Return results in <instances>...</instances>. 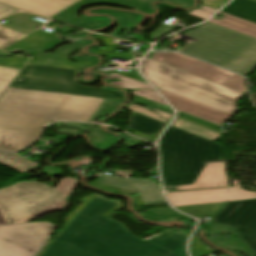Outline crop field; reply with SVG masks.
I'll return each mask as SVG.
<instances>
[{
	"label": "crop field",
	"mask_w": 256,
	"mask_h": 256,
	"mask_svg": "<svg viewBox=\"0 0 256 256\" xmlns=\"http://www.w3.org/2000/svg\"><path fill=\"white\" fill-rule=\"evenodd\" d=\"M67 216L64 230L39 256H186L189 235L163 231L144 241L107 216L123 208L117 200L93 194Z\"/></svg>",
	"instance_id": "crop-field-1"
},
{
	"label": "crop field",
	"mask_w": 256,
	"mask_h": 256,
	"mask_svg": "<svg viewBox=\"0 0 256 256\" xmlns=\"http://www.w3.org/2000/svg\"><path fill=\"white\" fill-rule=\"evenodd\" d=\"M103 99L8 88L0 97V150L31 144L43 125L60 120L87 121Z\"/></svg>",
	"instance_id": "crop-field-2"
},
{
	"label": "crop field",
	"mask_w": 256,
	"mask_h": 256,
	"mask_svg": "<svg viewBox=\"0 0 256 256\" xmlns=\"http://www.w3.org/2000/svg\"><path fill=\"white\" fill-rule=\"evenodd\" d=\"M160 149L164 186L192 184L206 162L225 161L224 146L172 126L162 135Z\"/></svg>",
	"instance_id": "crop-field-3"
},
{
	"label": "crop field",
	"mask_w": 256,
	"mask_h": 256,
	"mask_svg": "<svg viewBox=\"0 0 256 256\" xmlns=\"http://www.w3.org/2000/svg\"><path fill=\"white\" fill-rule=\"evenodd\" d=\"M184 35L197 39L180 52L243 75L256 67V39L207 22Z\"/></svg>",
	"instance_id": "crop-field-4"
},
{
	"label": "crop field",
	"mask_w": 256,
	"mask_h": 256,
	"mask_svg": "<svg viewBox=\"0 0 256 256\" xmlns=\"http://www.w3.org/2000/svg\"><path fill=\"white\" fill-rule=\"evenodd\" d=\"M141 71L157 88L206 104L230 114L243 93L220 86L151 59H143Z\"/></svg>",
	"instance_id": "crop-field-5"
},
{
	"label": "crop field",
	"mask_w": 256,
	"mask_h": 256,
	"mask_svg": "<svg viewBox=\"0 0 256 256\" xmlns=\"http://www.w3.org/2000/svg\"><path fill=\"white\" fill-rule=\"evenodd\" d=\"M75 184L72 177L60 180L54 189L35 182H20L0 190V208L8 224L27 222L62 210L67 206L64 199Z\"/></svg>",
	"instance_id": "crop-field-6"
},
{
	"label": "crop field",
	"mask_w": 256,
	"mask_h": 256,
	"mask_svg": "<svg viewBox=\"0 0 256 256\" xmlns=\"http://www.w3.org/2000/svg\"><path fill=\"white\" fill-rule=\"evenodd\" d=\"M77 72L27 63L18 75L21 82L13 81L9 87L122 100L117 91L79 86L74 80Z\"/></svg>",
	"instance_id": "crop-field-7"
},
{
	"label": "crop field",
	"mask_w": 256,
	"mask_h": 256,
	"mask_svg": "<svg viewBox=\"0 0 256 256\" xmlns=\"http://www.w3.org/2000/svg\"><path fill=\"white\" fill-rule=\"evenodd\" d=\"M54 227L45 222L0 226V256H35Z\"/></svg>",
	"instance_id": "crop-field-8"
},
{
	"label": "crop field",
	"mask_w": 256,
	"mask_h": 256,
	"mask_svg": "<svg viewBox=\"0 0 256 256\" xmlns=\"http://www.w3.org/2000/svg\"><path fill=\"white\" fill-rule=\"evenodd\" d=\"M157 61L194 74L209 81L246 93L244 77L182 55L172 52H157Z\"/></svg>",
	"instance_id": "crop-field-9"
},
{
	"label": "crop field",
	"mask_w": 256,
	"mask_h": 256,
	"mask_svg": "<svg viewBox=\"0 0 256 256\" xmlns=\"http://www.w3.org/2000/svg\"><path fill=\"white\" fill-rule=\"evenodd\" d=\"M210 221L234 228L256 256V200L228 202Z\"/></svg>",
	"instance_id": "crop-field-10"
},
{
	"label": "crop field",
	"mask_w": 256,
	"mask_h": 256,
	"mask_svg": "<svg viewBox=\"0 0 256 256\" xmlns=\"http://www.w3.org/2000/svg\"><path fill=\"white\" fill-rule=\"evenodd\" d=\"M94 3H104V4H113L120 5L124 7L133 8L137 11L152 13L153 9L149 8L150 2L142 0H79L71 6L67 7L59 14L54 16L52 19L62 21L74 26H78L84 29L92 30L100 27L107 26L110 22L109 18L105 17H95V18H86L79 19L76 12L78 9L87 4Z\"/></svg>",
	"instance_id": "crop-field-11"
},
{
	"label": "crop field",
	"mask_w": 256,
	"mask_h": 256,
	"mask_svg": "<svg viewBox=\"0 0 256 256\" xmlns=\"http://www.w3.org/2000/svg\"><path fill=\"white\" fill-rule=\"evenodd\" d=\"M166 195L173 206L256 199V192L240 187L174 192Z\"/></svg>",
	"instance_id": "crop-field-12"
},
{
	"label": "crop field",
	"mask_w": 256,
	"mask_h": 256,
	"mask_svg": "<svg viewBox=\"0 0 256 256\" xmlns=\"http://www.w3.org/2000/svg\"><path fill=\"white\" fill-rule=\"evenodd\" d=\"M60 39L52 33L38 30L30 35H23L0 27V48L4 50L23 49L25 52L46 49L57 43Z\"/></svg>",
	"instance_id": "crop-field-13"
},
{
	"label": "crop field",
	"mask_w": 256,
	"mask_h": 256,
	"mask_svg": "<svg viewBox=\"0 0 256 256\" xmlns=\"http://www.w3.org/2000/svg\"><path fill=\"white\" fill-rule=\"evenodd\" d=\"M158 90L164 95L167 101L170 104H172L177 110L188 112L190 114L199 116L201 118L213 121L218 124L233 116L225 112L216 110L214 108L208 107L206 105L168 93L166 91L160 89Z\"/></svg>",
	"instance_id": "crop-field-14"
},
{
	"label": "crop field",
	"mask_w": 256,
	"mask_h": 256,
	"mask_svg": "<svg viewBox=\"0 0 256 256\" xmlns=\"http://www.w3.org/2000/svg\"><path fill=\"white\" fill-rule=\"evenodd\" d=\"M92 185L108 191L114 190L113 192L118 193H126L160 186V184L152 179H124L105 175H101L92 183Z\"/></svg>",
	"instance_id": "crop-field-15"
},
{
	"label": "crop field",
	"mask_w": 256,
	"mask_h": 256,
	"mask_svg": "<svg viewBox=\"0 0 256 256\" xmlns=\"http://www.w3.org/2000/svg\"><path fill=\"white\" fill-rule=\"evenodd\" d=\"M75 0H0L15 8L48 17Z\"/></svg>",
	"instance_id": "crop-field-16"
},
{
	"label": "crop field",
	"mask_w": 256,
	"mask_h": 256,
	"mask_svg": "<svg viewBox=\"0 0 256 256\" xmlns=\"http://www.w3.org/2000/svg\"><path fill=\"white\" fill-rule=\"evenodd\" d=\"M228 186L225 163H208L192 185L176 186L177 190Z\"/></svg>",
	"instance_id": "crop-field-17"
},
{
	"label": "crop field",
	"mask_w": 256,
	"mask_h": 256,
	"mask_svg": "<svg viewBox=\"0 0 256 256\" xmlns=\"http://www.w3.org/2000/svg\"><path fill=\"white\" fill-rule=\"evenodd\" d=\"M164 126L163 123L133 111L127 129L149 142H154L156 135Z\"/></svg>",
	"instance_id": "crop-field-18"
},
{
	"label": "crop field",
	"mask_w": 256,
	"mask_h": 256,
	"mask_svg": "<svg viewBox=\"0 0 256 256\" xmlns=\"http://www.w3.org/2000/svg\"><path fill=\"white\" fill-rule=\"evenodd\" d=\"M33 58L29 61L31 63L50 65L56 67L70 68L80 70L82 67L90 66L97 63L95 56L87 58H71L79 63H71L65 57L52 56L45 53H31Z\"/></svg>",
	"instance_id": "crop-field-19"
},
{
	"label": "crop field",
	"mask_w": 256,
	"mask_h": 256,
	"mask_svg": "<svg viewBox=\"0 0 256 256\" xmlns=\"http://www.w3.org/2000/svg\"><path fill=\"white\" fill-rule=\"evenodd\" d=\"M222 12L256 23V2L250 0H233Z\"/></svg>",
	"instance_id": "crop-field-20"
},
{
	"label": "crop field",
	"mask_w": 256,
	"mask_h": 256,
	"mask_svg": "<svg viewBox=\"0 0 256 256\" xmlns=\"http://www.w3.org/2000/svg\"><path fill=\"white\" fill-rule=\"evenodd\" d=\"M31 17L32 15L27 13H17L6 18L5 20H7V23L5 22L6 24H3L2 26L22 33H29L42 24V22L30 19Z\"/></svg>",
	"instance_id": "crop-field-21"
},
{
	"label": "crop field",
	"mask_w": 256,
	"mask_h": 256,
	"mask_svg": "<svg viewBox=\"0 0 256 256\" xmlns=\"http://www.w3.org/2000/svg\"><path fill=\"white\" fill-rule=\"evenodd\" d=\"M114 77L119 78V79H123L125 81L124 82H122V81L109 82L108 84L118 86V87H123V88H146V89H149V91L141 90V91H137V92H133V93L168 106L155 92H150V90H152V89L150 88L149 85H146V84H143L141 82L131 80V79H128V78H124V77H122L120 75H117V74L109 75L108 79H112Z\"/></svg>",
	"instance_id": "crop-field-22"
},
{
	"label": "crop field",
	"mask_w": 256,
	"mask_h": 256,
	"mask_svg": "<svg viewBox=\"0 0 256 256\" xmlns=\"http://www.w3.org/2000/svg\"><path fill=\"white\" fill-rule=\"evenodd\" d=\"M222 14L226 15L223 20L218 21V20L211 19L210 22L216 23L218 25L233 29L235 31H238L256 38L255 24L227 15L225 13H222Z\"/></svg>",
	"instance_id": "crop-field-23"
},
{
	"label": "crop field",
	"mask_w": 256,
	"mask_h": 256,
	"mask_svg": "<svg viewBox=\"0 0 256 256\" xmlns=\"http://www.w3.org/2000/svg\"><path fill=\"white\" fill-rule=\"evenodd\" d=\"M172 126L180 128L182 130L188 131L190 133H193L195 135L201 136L203 138L209 139L213 141L216 139L221 133L217 131L210 130L208 128H205L201 125L195 124L193 122L184 120L182 118L177 117L175 122L172 124Z\"/></svg>",
	"instance_id": "crop-field-24"
},
{
	"label": "crop field",
	"mask_w": 256,
	"mask_h": 256,
	"mask_svg": "<svg viewBox=\"0 0 256 256\" xmlns=\"http://www.w3.org/2000/svg\"><path fill=\"white\" fill-rule=\"evenodd\" d=\"M91 13H107L112 16H114L117 19L118 26L110 32V34L119 36L123 30L133 21L135 20L139 15L137 14H131V13H123V12H116L111 10H97L92 11Z\"/></svg>",
	"instance_id": "crop-field-25"
},
{
	"label": "crop field",
	"mask_w": 256,
	"mask_h": 256,
	"mask_svg": "<svg viewBox=\"0 0 256 256\" xmlns=\"http://www.w3.org/2000/svg\"><path fill=\"white\" fill-rule=\"evenodd\" d=\"M131 193H140L138 195H135V198H136L135 205H152V204H160L165 202V200L163 199L160 193V187L131 192Z\"/></svg>",
	"instance_id": "crop-field-26"
},
{
	"label": "crop field",
	"mask_w": 256,
	"mask_h": 256,
	"mask_svg": "<svg viewBox=\"0 0 256 256\" xmlns=\"http://www.w3.org/2000/svg\"><path fill=\"white\" fill-rule=\"evenodd\" d=\"M82 125L89 130L90 137L94 145L100 148H106L116 142L114 136H111L101 130L94 128L93 125H90V124H82Z\"/></svg>",
	"instance_id": "crop-field-27"
},
{
	"label": "crop field",
	"mask_w": 256,
	"mask_h": 256,
	"mask_svg": "<svg viewBox=\"0 0 256 256\" xmlns=\"http://www.w3.org/2000/svg\"><path fill=\"white\" fill-rule=\"evenodd\" d=\"M0 163L22 173L29 170V166L27 165L25 160L15 154L0 153Z\"/></svg>",
	"instance_id": "crop-field-28"
},
{
	"label": "crop field",
	"mask_w": 256,
	"mask_h": 256,
	"mask_svg": "<svg viewBox=\"0 0 256 256\" xmlns=\"http://www.w3.org/2000/svg\"><path fill=\"white\" fill-rule=\"evenodd\" d=\"M143 218L149 219V220H163L170 217L173 218H185V216L179 214L178 212L172 210V209H164V210H150L145 211L144 214H142Z\"/></svg>",
	"instance_id": "crop-field-29"
},
{
	"label": "crop field",
	"mask_w": 256,
	"mask_h": 256,
	"mask_svg": "<svg viewBox=\"0 0 256 256\" xmlns=\"http://www.w3.org/2000/svg\"><path fill=\"white\" fill-rule=\"evenodd\" d=\"M121 101L104 99L97 111L88 120L89 122L95 121L96 118L103 114H109L120 104Z\"/></svg>",
	"instance_id": "crop-field-30"
},
{
	"label": "crop field",
	"mask_w": 256,
	"mask_h": 256,
	"mask_svg": "<svg viewBox=\"0 0 256 256\" xmlns=\"http://www.w3.org/2000/svg\"><path fill=\"white\" fill-rule=\"evenodd\" d=\"M133 106H135V105L130 104V105H128L127 108H128V109H131V110H134V111H136V112H139V113H141V114H143V115H146V116H148V117H151V118H153V119H156V120H158V121H160V122H163V123H165V124H167V121L161 120V119H159V118L162 117V118H165V119L170 120L171 117H172L171 115H168V114H166V113L160 112V111L155 110V109H152V108H150L152 111H154V112H156V113H158V114H160V115H158V114H156V113H154V112H152V111H149V110H147V109H144V108H141V107H138V106H135L136 108H134Z\"/></svg>",
	"instance_id": "crop-field-31"
},
{
	"label": "crop field",
	"mask_w": 256,
	"mask_h": 256,
	"mask_svg": "<svg viewBox=\"0 0 256 256\" xmlns=\"http://www.w3.org/2000/svg\"><path fill=\"white\" fill-rule=\"evenodd\" d=\"M213 243L219 246L226 244L227 246L225 247L228 249L239 250L241 253H245L247 254V256H251L250 251L245 247L244 243L240 241L238 238L214 241Z\"/></svg>",
	"instance_id": "crop-field-32"
},
{
	"label": "crop field",
	"mask_w": 256,
	"mask_h": 256,
	"mask_svg": "<svg viewBox=\"0 0 256 256\" xmlns=\"http://www.w3.org/2000/svg\"><path fill=\"white\" fill-rule=\"evenodd\" d=\"M18 69L0 67V94L18 72Z\"/></svg>",
	"instance_id": "crop-field-33"
},
{
	"label": "crop field",
	"mask_w": 256,
	"mask_h": 256,
	"mask_svg": "<svg viewBox=\"0 0 256 256\" xmlns=\"http://www.w3.org/2000/svg\"><path fill=\"white\" fill-rule=\"evenodd\" d=\"M190 249L192 256H206L216 251H213L205 246H203L197 238H192L190 242Z\"/></svg>",
	"instance_id": "crop-field-34"
},
{
	"label": "crop field",
	"mask_w": 256,
	"mask_h": 256,
	"mask_svg": "<svg viewBox=\"0 0 256 256\" xmlns=\"http://www.w3.org/2000/svg\"><path fill=\"white\" fill-rule=\"evenodd\" d=\"M134 95V94H133ZM134 102H137V103H140V104H143V105H146V106H149V107H152V108H155V109H158L160 111H163V112H166L168 114H171L173 115V112H172V109L169 108V107H166L164 105H161V104H158L156 102H153V101H150V100H147L145 98H142V97H139L137 95H134V98L132 99Z\"/></svg>",
	"instance_id": "crop-field-35"
},
{
	"label": "crop field",
	"mask_w": 256,
	"mask_h": 256,
	"mask_svg": "<svg viewBox=\"0 0 256 256\" xmlns=\"http://www.w3.org/2000/svg\"><path fill=\"white\" fill-rule=\"evenodd\" d=\"M28 59L29 58H23L19 55H16L14 57L7 58V59H0V66H6V67L21 69V67L24 65V63Z\"/></svg>",
	"instance_id": "crop-field-36"
},
{
	"label": "crop field",
	"mask_w": 256,
	"mask_h": 256,
	"mask_svg": "<svg viewBox=\"0 0 256 256\" xmlns=\"http://www.w3.org/2000/svg\"><path fill=\"white\" fill-rule=\"evenodd\" d=\"M79 47H80L79 45H74V44L62 45L57 50H55L52 54L68 57L71 52L78 49Z\"/></svg>",
	"instance_id": "crop-field-37"
},
{
	"label": "crop field",
	"mask_w": 256,
	"mask_h": 256,
	"mask_svg": "<svg viewBox=\"0 0 256 256\" xmlns=\"http://www.w3.org/2000/svg\"><path fill=\"white\" fill-rule=\"evenodd\" d=\"M174 28H176V27L162 23V24L159 26L158 30L153 31L152 33H150V34H151V37H150V38L153 39V40H155V39H157L158 37H160V36H162V35L168 33L170 30H172V29H174ZM150 34H149V35H150Z\"/></svg>",
	"instance_id": "crop-field-38"
},
{
	"label": "crop field",
	"mask_w": 256,
	"mask_h": 256,
	"mask_svg": "<svg viewBox=\"0 0 256 256\" xmlns=\"http://www.w3.org/2000/svg\"><path fill=\"white\" fill-rule=\"evenodd\" d=\"M94 38L100 39L105 44V50L100 51H110L114 52L117 45H114V39L104 36L92 35Z\"/></svg>",
	"instance_id": "crop-field-39"
},
{
	"label": "crop field",
	"mask_w": 256,
	"mask_h": 256,
	"mask_svg": "<svg viewBox=\"0 0 256 256\" xmlns=\"http://www.w3.org/2000/svg\"><path fill=\"white\" fill-rule=\"evenodd\" d=\"M177 116L182 117V118L187 119V120H190V121H193L195 123L201 124V125L206 126V127L210 128V129L216 130L217 128H219V126H216L214 124L202 121L200 119H197V118H194V117H191V116H188V115L183 114L181 112H178Z\"/></svg>",
	"instance_id": "crop-field-40"
},
{
	"label": "crop field",
	"mask_w": 256,
	"mask_h": 256,
	"mask_svg": "<svg viewBox=\"0 0 256 256\" xmlns=\"http://www.w3.org/2000/svg\"><path fill=\"white\" fill-rule=\"evenodd\" d=\"M200 7L203 8L204 10L208 11V12L214 13L216 11V9H212V8L205 7V6H202V5H200ZM188 14L199 17V18H203V19H205L209 15H211L210 13H207V12L201 10V9H196L194 11L189 12Z\"/></svg>",
	"instance_id": "crop-field-41"
},
{
	"label": "crop field",
	"mask_w": 256,
	"mask_h": 256,
	"mask_svg": "<svg viewBox=\"0 0 256 256\" xmlns=\"http://www.w3.org/2000/svg\"><path fill=\"white\" fill-rule=\"evenodd\" d=\"M94 52L98 53L100 55H104V56H106L110 60H112L113 57L124 58V59H132L133 58L132 54L109 53V52H99V51H94Z\"/></svg>",
	"instance_id": "crop-field-42"
},
{
	"label": "crop field",
	"mask_w": 256,
	"mask_h": 256,
	"mask_svg": "<svg viewBox=\"0 0 256 256\" xmlns=\"http://www.w3.org/2000/svg\"><path fill=\"white\" fill-rule=\"evenodd\" d=\"M201 1H202V3H201L202 5L218 9L224 3H226L228 0H201Z\"/></svg>",
	"instance_id": "crop-field-43"
},
{
	"label": "crop field",
	"mask_w": 256,
	"mask_h": 256,
	"mask_svg": "<svg viewBox=\"0 0 256 256\" xmlns=\"http://www.w3.org/2000/svg\"><path fill=\"white\" fill-rule=\"evenodd\" d=\"M111 72H118V71H111ZM118 73H120V74H122V75H125V76H127V77H130V78H133V79H135V80H138V81H141V82H143V83H146L138 74H137V72H136V70L135 69H131L129 72H127V73H122V72H118ZM147 84V83H146Z\"/></svg>",
	"instance_id": "crop-field-44"
},
{
	"label": "crop field",
	"mask_w": 256,
	"mask_h": 256,
	"mask_svg": "<svg viewBox=\"0 0 256 256\" xmlns=\"http://www.w3.org/2000/svg\"><path fill=\"white\" fill-rule=\"evenodd\" d=\"M206 226L209 228L208 233L215 232L219 229H228L227 227H224L219 224L211 223V222H208Z\"/></svg>",
	"instance_id": "crop-field-45"
},
{
	"label": "crop field",
	"mask_w": 256,
	"mask_h": 256,
	"mask_svg": "<svg viewBox=\"0 0 256 256\" xmlns=\"http://www.w3.org/2000/svg\"><path fill=\"white\" fill-rule=\"evenodd\" d=\"M16 11L18 10L4 6V5H0V18Z\"/></svg>",
	"instance_id": "crop-field-46"
},
{
	"label": "crop field",
	"mask_w": 256,
	"mask_h": 256,
	"mask_svg": "<svg viewBox=\"0 0 256 256\" xmlns=\"http://www.w3.org/2000/svg\"><path fill=\"white\" fill-rule=\"evenodd\" d=\"M42 172L49 174L50 176L53 175H60L61 169L59 168H52V167H46L42 170Z\"/></svg>",
	"instance_id": "crop-field-47"
},
{
	"label": "crop field",
	"mask_w": 256,
	"mask_h": 256,
	"mask_svg": "<svg viewBox=\"0 0 256 256\" xmlns=\"http://www.w3.org/2000/svg\"><path fill=\"white\" fill-rule=\"evenodd\" d=\"M58 132H70V133H73V134H78L80 133L79 130L77 129H73V128H69V127H65V128H61L59 130H57Z\"/></svg>",
	"instance_id": "crop-field-48"
},
{
	"label": "crop field",
	"mask_w": 256,
	"mask_h": 256,
	"mask_svg": "<svg viewBox=\"0 0 256 256\" xmlns=\"http://www.w3.org/2000/svg\"><path fill=\"white\" fill-rule=\"evenodd\" d=\"M174 1H177L179 5L184 7H190L192 5L191 0H174Z\"/></svg>",
	"instance_id": "crop-field-49"
},
{
	"label": "crop field",
	"mask_w": 256,
	"mask_h": 256,
	"mask_svg": "<svg viewBox=\"0 0 256 256\" xmlns=\"http://www.w3.org/2000/svg\"><path fill=\"white\" fill-rule=\"evenodd\" d=\"M70 137H72V136H70V135H55V134H54V139H63V140H66V139H68V138H70Z\"/></svg>",
	"instance_id": "crop-field-50"
},
{
	"label": "crop field",
	"mask_w": 256,
	"mask_h": 256,
	"mask_svg": "<svg viewBox=\"0 0 256 256\" xmlns=\"http://www.w3.org/2000/svg\"><path fill=\"white\" fill-rule=\"evenodd\" d=\"M4 224H7L1 210H0V225H4Z\"/></svg>",
	"instance_id": "crop-field-51"
},
{
	"label": "crop field",
	"mask_w": 256,
	"mask_h": 256,
	"mask_svg": "<svg viewBox=\"0 0 256 256\" xmlns=\"http://www.w3.org/2000/svg\"><path fill=\"white\" fill-rule=\"evenodd\" d=\"M7 54H9V53L4 52V51H0V55H7Z\"/></svg>",
	"instance_id": "crop-field-52"
},
{
	"label": "crop field",
	"mask_w": 256,
	"mask_h": 256,
	"mask_svg": "<svg viewBox=\"0 0 256 256\" xmlns=\"http://www.w3.org/2000/svg\"><path fill=\"white\" fill-rule=\"evenodd\" d=\"M157 56H158V54L155 55V56H154L153 58H151V59L156 60Z\"/></svg>",
	"instance_id": "crop-field-53"
}]
</instances>
